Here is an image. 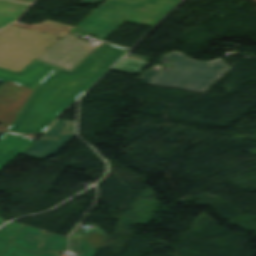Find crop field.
I'll return each instance as SVG.
<instances>
[{
    "label": "crop field",
    "instance_id": "8a807250",
    "mask_svg": "<svg viewBox=\"0 0 256 256\" xmlns=\"http://www.w3.org/2000/svg\"><path fill=\"white\" fill-rule=\"evenodd\" d=\"M128 50L102 43L71 72L58 68L33 91L8 129L43 132Z\"/></svg>",
    "mask_w": 256,
    "mask_h": 256
},
{
    "label": "crop field",
    "instance_id": "ac0d7876",
    "mask_svg": "<svg viewBox=\"0 0 256 256\" xmlns=\"http://www.w3.org/2000/svg\"><path fill=\"white\" fill-rule=\"evenodd\" d=\"M163 58L174 61L172 71L149 69L140 80L151 85L202 92L206 90L230 66L221 58L209 62L189 59L179 53H167Z\"/></svg>",
    "mask_w": 256,
    "mask_h": 256
},
{
    "label": "crop field",
    "instance_id": "34b2d1b8",
    "mask_svg": "<svg viewBox=\"0 0 256 256\" xmlns=\"http://www.w3.org/2000/svg\"><path fill=\"white\" fill-rule=\"evenodd\" d=\"M101 42L91 44L70 34L53 44L37 60L71 71Z\"/></svg>",
    "mask_w": 256,
    "mask_h": 256
},
{
    "label": "crop field",
    "instance_id": "412701ff",
    "mask_svg": "<svg viewBox=\"0 0 256 256\" xmlns=\"http://www.w3.org/2000/svg\"><path fill=\"white\" fill-rule=\"evenodd\" d=\"M75 136V122L57 120L48 131L23 154L39 159L57 153Z\"/></svg>",
    "mask_w": 256,
    "mask_h": 256
},
{
    "label": "crop field",
    "instance_id": "f4fd0767",
    "mask_svg": "<svg viewBox=\"0 0 256 256\" xmlns=\"http://www.w3.org/2000/svg\"><path fill=\"white\" fill-rule=\"evenodd\" d=\"M57 67L35 60L20 73L0 68V80L12 82L34 90L45 75H49Z\"/></svg>",
    "mask_w": 256,
    "mask_h": 256
},
{
    "label": "crop field",
    "instance_id": "dd49c442",
    "mask_svg": "<svg viewBox=\"0 0 256 256\" xmlns=\"http://www.w3.org/2000/svg\"><path fill=\"white\" fill-rule=\"evenodd\" d=\"M44 232L45 231L40 229L24 225L2 256H40L49 244L44 242H31L22 237L30 233L41 238L46 234Z\"/></svg>",
    "mask_w": 256,
    "mask_h": 256
},
{
    "label": "crop field",
    "instance_id": "e52e79f7",
    "mask_svg": "<svg viewBox=\"0 0 256 256\" xmlns=\"http://www.w3.org/2000/svg\"><path fill=\"white\" fill-rule=\"evenodd\" d=\"M23 135L5 133L0 139V170L18 154H22L33 142L22 138Z\"/></svg>",
    "mask_w": 256,
    "mask_h": 256
},
{
    "label": "crop field",
    "instance_id": "d8731c3e",
    "mask_svg": "<svg viewBox=\"0 0 256 256\" xmlns=\"http://www.w3.org/2000/svg\"><path fill=\"white\" fill-rule=\"evenodd\" d=\"M111 25L112 24L90 14L76 26L98 36V39L104 40Z\"/></svg>",
    "mask_w": 256,
    "mask_h": 256
},
{
    "label": "crop field",
    "instance_id": "5a996713",
    "mask_svg": "<svg viewBox=\"0 0 256 256\" xmlns=\"http://www.w3.org/2000/svg\"><path fill=\"white\" fill-rule=\"evenodd\" d=\"M22 224L11 222L0 229V256L22 228Z\"/></svg>",
    "mask_w": 256,
    "mask_h": 256
},
{
    "label": "crop field",
    "instance_id": "3316defc",
    "mask_svg": "<svg viewBox=\"0 0 256 256\" xmlns=\"http://www.w3.org/2000/svg\"><path fill=\"white\" fill-rule=\"evenodd\" d=\"M147 66L148 64L124 59L119 64H117L112 70L126 74L138 75Z\"/></svg>",
    "mask_w": 256,
    "mask_h": 256
},
{
    "label": "crop field",
    "instance_id": "28ad6ade",
    "mask_svg": "<svg viewBox=\"0 0 256 256\" xmlns=\"http://www.w3.org/2000/svg\"><path fill=\"white\" fill-rule=\"evenodd\" d=\"M28 6V4L0 0V10L16 17L20 16Z\"/></svg>",
    "mask_w": 256,
    "mask_h": 256
},
{
    "label": "crop field",
    "instance_id": "d1516ede",
    "mask_svg": "<svg viewBox=\"0 0 256 256\" xmlns=\"http://www.w3.org/2000/svg\"><path fill=\"white\" fill-rule=\"evenodd\" d=\"M71 243L74 245L70 246V250L76 251L80 256H93L95 254L93 247L84 238Z\"/></svg>",
    "mask_w": 256,
    "mask_h": 256
},
{
    "label": "crop field",
    "instance_id": "22f410ed",
    "mask_svg": "<svg viewBox=\"0 0 256 256\" xmlns=\"http://www.w3.org/2000/svg\"><path fill=\"white\" fill-rule=\"evenodd\" d=\"M67 246H68L67 238L56 235V237L53 239L51 244L45 250L58 252V251L67 250Z\"/></svg>",
    "mask_w": 256,
    "mask_h": 256
},
{
    "label": "crop field",
    "instance_id": "cbeb9de0",
    "mask_svg": "<svg viewBox=\"0 0 256 256\" xmlns=\"http://www.w3.org/2000/svg\"><path fill=\"white\" fill-rule=\"evenodd\" d=\"M15 19L16 17L0 11V29Z\"/></svg>",
    "mask_w": 256,
    "mask_h": 256
},
{
    "label": "crop field",
    "instance_id": "5142ce71",
    "mask_svg": "<svg viewBox=\"0 0 256 256\" xmlns=\"http://www.w3.org/2000/svg\"><path fill=\"white\" fill-rule=\"evenodd\" d=\"M126 57L127 58H131V59H137V60H141V61H146V62L151 61V59H149V58H144V57H140V56H136V55H131V54H128Z\"/></svg>",
    "mask_w": 256,
    "mask_h": 256
},
{
    "label": "crop field",
    "instance_id": "d9b57169",
    "mask_svg": "<svg viewBox=\"0 0 256 256\" xmlns=\"http://www.w3.org/2000/svg\"><path fill=\"white\" fill-rule=\"evenodd\" d=\"M105 0H82L80 2L82 3H88V4H98V3H102Z\"/></svg>",
    "mask_w": 256,
    "mask_h": 256
},
{
    "label": "crop field",
    "instance_id": "733c2abd",
    "mask_svg": "<svg viewBox=\"0 0 256 256\" xmlns=\"http://www.w3.org/2000/svg\"><path fill=\"white\" fill-rule=\"evenodd\" d=\"M54 252H43L42 256H56Z\"/></svg>",
    "mask_w": 256,
    "mask_h": 256
},
{
    "label": "crop field",
    "instance_id": "4a817a6b",
    "mask_svg": "<svg viewBox=\"0 0 256 256\" xmlns=\"http://www.w3.org/2000/svg\"><path fill=\"white\" fill-rule=\"evenodd\" d=\"M14 1H20V2L32 3L34 0H14Z\"/></svg>",
    "mask_w": 256,
    "mask_h": 256
},
{
    "label": "crop field",
    "instance_id": "bc2a9ffb",
    "mask_svg": "<svg viewBox=\"0 0 256 256\" xmlns=\"http://www.w3.org/2000/svg\"><path fill=\"white\" fill-rule=\"evenodd\" d=\"M3 222H5V221L0 218V224H2Z\"/></svg>",
    "mask_w": 256,
    "mask_h": 256
}]
</instances>
